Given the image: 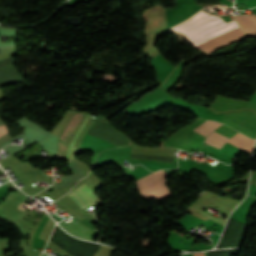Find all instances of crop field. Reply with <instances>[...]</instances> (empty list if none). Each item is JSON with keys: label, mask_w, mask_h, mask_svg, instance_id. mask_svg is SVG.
Masks as SVG:
<instances>
[{"label": "crop field", "mask_w": 256, "mask_h": 256, "mask_svg": "<svg viewBox=\"0 0 256 256\" xmlns=\"http://www.w3.org/2000/svg\"><path fill=\"white\" fill-rule=\"evenodd\" d=\"M81 208L99 203L94 193L84 184L68 194Z\"/></svg>", "instance_id": "crop-field-4"}, {"label": "crop field", "mask_w": 256, "mask_h": 256, "mask_svg": "<svg viewBox=\"0 0 256 256\" xmlns=\"http://www.w3.org/2000/svg\"><path fill=\"white\" fill-rule=\"evenodd\" d=\"M240 26L250 35L256 36V15H237L235 16Z\"/></svg>", "instance_id": "crop-field-7"}, {"label": "crop field", "mask_w": 256, "mask_h": 256, "mask_svg": "<svg viewBox=\"0 0 256 256\" xmlns=\"http://www.w3.org/2000/svg\"><path fill=\"white\" fill-rule=\"evenodd\" d=\"M88 118H89V114H88L87 118L85 119L84 123L82 124L80 130L78 131L77 135L75 136L74 140L72 141L71 146H72L73 143L75 142L76 138H77L78 135H79V132H81V130H82V128H83V126H84V124H85V122H86V120H87Z\"/></svg>", "instance_id": "crop-field-13"}, {"label": "crop field", "mask_w": 256, "mask_h": 256, "mask_svg": "<svg viewBox=\"0 0 256 256\" xmlns=\"http://www.w3.org/2000/svg\"><path fill=\"white\" fill-rule=\"evenodd\" d=\"M254 142V140L243 136L239 132L228 141V143L248 152H252Z\"/></svg>", "instance_id": "crop-field-8"}, {"label": "crop field", "mask_w": 256, "mask_h": 256, "mask_svg": "<svg viewBox=\"0 0 256 256\" xmlns=\"http://www.w3.org/2000/svg\"><path fill=\"white\" fill-rule=\"evenodd\" d=\"M227 140L228 138L213 132L208 135L205 143L220 149Z\"/></svg>", "instance_id": "crop-field-9"}, {"label": "crop field", "mask_w": 256, "mask_h": 256, "mask_svg": "<svg viewBox=\"0 0 256 256\" xmlns=\"http://www.w3.org/2000/svg\"><path fill=\"white\" fill-rule=\"evenodd\" d=\"M171 29L183 34L192 46L207 52L220 49L248 36L236 20L226 23L218 16L203 10Z\"/></svg>", "instance_id": "crop-field-1"}, {"label": "crop field", "mask_w": 256, "mask_h": 256, "mask_svg": "<svg viewBox=\"0 0 256 256\" xmlns=\"http://www.w3.org/2000/svg\"><path fill=\"white\" fill-rule=\"evenodd\" d=\"M166 176H168V175L163 170H161V171H157L151 175H148V176L136 181V183L139 187L140 192H142L146 189H149L153 186H156L158 184L165 182ZM165 184H166V182L161 185H158L154 188L146 190V191L142 192L141 194H143L145 197H147L151 200H153L155 198L160 200L162 198L168 197L171 194H170L169 190L166 188Z\"/></svg>", "instance_id": "crop-field-2"}, {"label": "crop field", "mask_w": 256, "mask_h": 256, "mask_svg": "<svg viewBox=\"0 0 256 256\" xmlns=\"http://www.w3.org/2000/svg\"><path fill=\"white\" fill-rule=\"evenodd\" d=\"M86 113L76 112L74 116L71 118V120L68 122L67 126L63 130V132L60 134L59 138L61 141H63L65 144L69 141L70 137L78 127L80 121L82 120L83 116Z\"/></svg>", "instance_id": "crop-field-5"}, {"label": "crop field", "mask_w": 256, "mask_h": 256, "mask_svg": "<svg viewBox=\"0 0 256 256\" xmlns=\"http://www.w3.org/2000/svg\"><path fill=\"white\" fill-rule=\"evenodd\" d=\"M71 149H72V147L70 146V147H69V150H68V153H67V156H66V159H67V160L69 159ZM75 149H76V148H75ZM75 149H74V152H73L72 158H73V156H74ZM72 158H71V160H72Z\"/></svg>", "instance_id": "crop-field-14"}, {"label": "crop field", "mask_w": 256, "mask_h": 256, "mask_svg": "<svg viewBox=\"0 0 256 256\" xmlns=\"http://www.w3.org/2000/svg\"><path fill=\"white\" fill-rule=\"evenodd\" d=\"M8 133L7 127L5 125L0 126V137Z\"/></svg>", "instance_id": "crop-field-12"}, {"label": "crop field", "mask_w": 256, "mask_h": 256, "mask_svg": "<svg viewBox=\"0 0 256 256\" xmlns=\"http://www.w3.org/2000/svg\"><path fill=\"white\" fill-rule=\"evenodd\" d=\"M68 149V146H66L61 141L58 142V148H57V157L58 158H65L66 151Z\"/></svg>", "instance_id": "crop-field-11"}, {"label": "crop field", "mask_w": 256, "mask_h": 256, "mask_svg": "<svg viewBox=\"0 0 256 256\" xmlns=\"http://www.w3.org/2000/svg\"><path fill=\"white\" fill-rule=\"evenodd\" d=\"M88 135L107 140L117 147L126 146L128 139L115 131L111 126L95 121Z\"/></svg>", "instance_id": "crop-field-3"}, {"label": "crop field", "mask_w": 256, "mask_h": 256, "mask_svg": "<svg viewBox=\"0 0 256 256\" xmlns=\"http://www.w3.org/2000/svg\"><path fill=\"white\" fill-rule=\"evenodd\" d=\"M221 124L216 121H209L207 120L203 124H201L199 127H197L194 131L207 136L212 130L216 129Z\"/></svg>", "instance_id": "crop-field-10"}, {"label": "crop field", "mask_w": 256, "mask_h": 256, "mask_svg": "<svg viewBox=\"0 0 256 256\" xmlns=\"http://www.w3.org/2000/svg\"><path fill=\"white\" fill-rule=\"evenodd\" d=\"M23 80V77L14 67V65L0 69V85Z\"/></svg>", "instance_id": "crop-field-6"}]
</instances>
